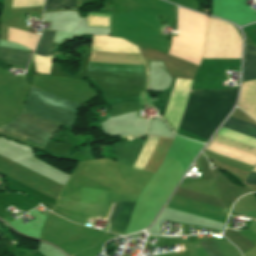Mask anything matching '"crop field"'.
I'll list each match as a JSON object with an SVG mask.
<instances>
[{"instance_id": "9", "label": "crop field", "mask_w": 256, "mask_h": 256, "mask_svg": "<svg viewBox=\"0 0 256 256\" xmlns=\"http://www.w3.org/2000/svg\"><path fill=\"white\" fill-rule=\"evenodd\" d=\"M54 32H43L38 46L35 50V54L47 56L49 52L50 45L53 41Z\"/></svg>"}, {"instance_id": "6", "label": "crop field", "mask_w": 256, "mask_h": 256, "mask_svg": "<svg viewBox=\"0 0 256 256\" xmlns=\"http://www.w3.org/2000/svg\"><path fill=\"white\" fill-rule=\"evenodd\" d=\"M120 204L121 203H115L113 209H112V212L108 218L109 222L113 225L114 224V221H115V218H116V215L118 213V210H119V207H120ZM135 204H131V203H122L121 204V207H120V210H119V213L117 215V218H116V221H115V224H114V227L122 230L125 232L126 228L128 227L129 223H130V219H131V215H132V211H133V208H134ZM111 211V210H110Z\"/></svg>"}, {"instance_id": "13", "label": "crop field", "mask_w": 256, "mask_h": 256, "mask_svg": "<svg viewBox=\"0 0 256 256\" xmlns=\"http://www.w3.org/2000/svg\"><path fill=\"white\" fill-rule=\"evenodd\" d=\"M255 34H256V32H255Z\"/></svg>"}, {"instance_id": "11", "label": "crop field", "mask_w": 256, "mask_h": 256, "mask_svg": "<svg viewBox=\"0 0 256 256\" xmlns=\"http://www.w3.org/2000/svg\"><path fill=\"white\" fill-rule=\"evenodd\" d=\"M208 256H223L213 241L200 242Z\"/></svg>"}, {"instance_id": "3", "label": "crop field", "mask_w": 256, "mask_h": 256, "mask_svg": "<svg viewBox=\"0 0 256 256\" xmlns=\"http://www.w3.org/2000/svg\"><path fill=\"white\" fill-rule=\"evenodd\" d=\"M46 118L23 111L14 121L0 127V133L44 148L59 127Z\"/></svg>"}, {"instance_id": "10", "label": "crop field", "mask_w": 256, "mask_h": 256, "mask_svg": "<svg viewBox=\"0 0 256 256\" xmlns=\"http://www.w3.org/2000/svg\"><path fill=\"white\" fill-rule=\"evenodd\" d=\"M54 8H75L74 0H46L45 10Z\"/></svg>"}, {"instance_id": "8", "label": "crop field", "mask_w": 256, "mask_h": 256, "mask_svg": "<svg viewBox=\"0 0 256 256\" xmlns=\"http://www.w3.org/2000/svg\"><path fill=\"white\" fill-rule=\"evenodd\" d=\"M31 54L0 48V61L26 67Z\"/></svg>"}, {"instance_id": "7", "label": "crop field", "mask_w": 256, "mask_h": 256, "mask_svg": "<svg viewBox=\"0 0 256 256\" xmlns=\"http://www.w3.org/2000/svg\"><path fill=\"white\" fill-rule=\"evenodd\" d=\"M252 78H256V49L254 46L246 44L242 81Z\"/></svg>"}, {"instance_id": "12", "label": "crop field", "mask_w": 256, "mask_h": 256, "mask_svg": "<svg viewBox=\"0 0 256 256\" xmlns=\"http://www.w3.org/2000/svg\"><path fill=\"white\" fill-rule=\"evenodd\" d=\"M246 182L256 184V171H252L246 178Z\"/></svg>"}, {"instance_id": "4", "label": "crop field", "mask_w": 256, "mask_h": 256, "mask_svg": "<svg viewBox=\"0 0 256 256\" xmlns=\"http://www.w3.org/2000/svg\"><path fill=\"white\" fill-rule=\"evenodd\" d=\"M223 128L256 138V126L229 117ZM221 128L218 135L256 147V139Z\"/></svg>"}, {"instance_id": "5", "label": "crop field", "mask_w": 256, "mask_h": 256, "mask_svg": "<svg viewBox=\"0 0 256 256\" xmlns=\"http://www.w3.org/2000/svg\"><path fill=\"white\" fill-rule=\"evenodd\" d=\"M87 70L147 75L145 64L89 60Z\"/></svg>"}, {"instance_id": "2", "label": "crop field", "mask_w": 256, "mask_h": 256, "mask_svg": "<svg viewBox=\"0 0 256 256\" xmlns=\"http://www.w3.org/2000/svg\"><path fill=\"white\" fill-rule=\"evenodd\" d=\"M80 106L33 86L24 110L60 122L72 130Z\"/></svg>"}, {"instance_id": "1", "label": "crop field", "mask_w": 256, "mask_h": 256, "mask_svg": "<svg viewBox=\"0 0 256 256\" xmlns=\"http://www.w3.org/2000/svg\"><path fill=\"white\" fill-rule=\"evenodd\" d=\"M238 90H191L180 128L208 141L232 110Z\"/></svg>"}]
</instances>
